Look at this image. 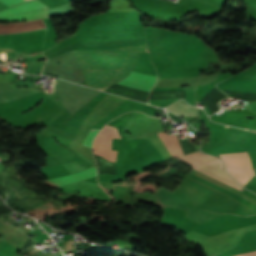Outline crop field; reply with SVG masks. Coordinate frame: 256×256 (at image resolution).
<instances>
[{
    "label": "crop field",
    "mask_w": 256,
    "mask_h": 256,
    "mask_svg": "<svg viewBox=\"0 0 256 256\" xmlns=\"http://www.w3.org/2000/svg\"><path fill=\"white\" fill-rule=\"evenodd\" d=\"M79 60L87 86L105 91L129 75L139 52H149L147 45H133L112 50L72 51Z\"/></svg>",
    "instance_id": "obj_1"
},
{
    "label": "crop field",
    "mask_w": 256,
    "mask_h": 256,
    "mask_svg": "<svg viewBox=\"0 0 256 256\" xmlns=\"http://www.w3.org/2000/svg\"><path fill=\"white\" fill-rule=\"evenodd\" d=\"M177 159L240 191H243V188L239 186L236 181L227 174L223 168L221 160L217 158L204 155L198 151L185 156H181Z\"/></svg>",
    "instance_id": "obj_2"
},
{
    "label": "crop field",
    "mask_w": 256,
    "mask_h": 256,
    "mask_svg": "<svg viewBox=\"0 0 256 256\" xmlns=\"http://www.w3.org/2000/svg\"><path fill=\"white\" fill-rule=\"evenodd\" d=\"M156 77L131 71L130 75L117 84L133 87L150 92L155 83Z\"/></svg>",
    "instance_id": "obj_3"
},
{
    "label": "crop field",
    "mask_w": 256,
    "mask_h": 256,
    "mask_svg": "<svg viewBox=\"0 0 256 256\" xmlns=\"http://www.w3.org/2000/svg\"><path fill=\"white\" fill-rule=\"evenodd\" d=\"M43 9H50L43 3L39 2L38 0H31L16 6H13L11 8H7L0 11V17L3 16H10V15H17V14H25L30 13L38 10Z\"/></svg>",
    "instance_id": "obj_4"
},
{
    "label": "crop field",
    "mask_w": 256,
    "mask_h": 256,
    "mask_svg": "<svg viewBox=\"0 0 256 256\" xmlns=\"http://www.w3.org/2000/svg\"><path fill=\"white\" fill-rule=\"evenodd\" d=\"M96 175H97V169L92 167V168H89L87 170L81 171V172L76 173V174L50 179V181L62 186V185H66V184H69V183L84 180V179H87V178L95 177Z\"/></svg>",
    "instance_id": "obj_5"
},
{
    "label": "crop field",
    "mask_w": 256,
    "mask_h": 256,
    "mask_svg": "<svg viewBox=\"0 0 256 256\" xmlns=\"http://www.w3.org/2000/svg\"><path fill=\"white\" fill-rule=\"evenodd\" d=\"M166 109L173 111L180 116H199L198 108H193L182 104L180 101L172 104Z\"/></svg>",
    "instance_id": "obj_6"
},
{
    "label": "crop field",
    "mask_w": 256,
    "mask_h": 256,
    "mask_svg": "<svg viewBox=\"0 0 256 256\" xmlns=\"http://www.w3.org/2000/svg\"><path fill=\"white\" fill-rule=\"evenodd\" d=\"M50 17L47 10L36 12V13H30L25 15H18V16H11V17H3L0 18V22L2 21H26V20H35L40 18H47Z\"/></svg>",
    "instance_id": "obj_7"
},
{
    "label": "crop field",
    "mask_w": 256,
    "mask_h": 256,
    "mask_svg": "<svg viewBox=\"0 0 256 256\" xmlns=\"http://www.w3.org/2000/svg\"><path fill=\"white\" fill-rule=\"evenodd\" d=\"M98 131H100V129L92 128L87 137L85 138L83 145L91 148L92 141Z\"/></svg>",
    "instance_id": "obj_8"
},
{
    "label": "crop field",
    "mask_w": 256,
    "mask_h": 256,
    "mask_svg": "<svg viewBox=\"0 0 256 256\" xmlns=\"http://www.w3.org/2000/svg\"><path fill=\"white\" fill-rule=\"evenodd\" d=\"M25 1H27V0H0V2L4 3L5 5H7L9 7L19 4L21 2H25Z\"/></svg>",
    "instance_id": "obj_9"
},
{
    "label": "crop field",
    "mask_w": 256,
    "mask_h": 256,
    "mask_svg": "<svg viewBox=\"0 0 256 256\" xmlns=\"http://www.w3.org/2000/svg\"><path fill=\"white\" fill-rule=\"evenodd\" d=\"M250 112L256 113V102L244 105Z\"/></svg>",
    "instance_id": "obj_10"
},
{
    "label": "crop field",
    "mask_w": 256,
    "mask_h": 256,
    "mask_svg": "<svg viewBox=\"0 0 256 256\" xmlns=\"http://www.w3.org/2000/svg\"><path fill=\"white\" fill-rule=\"evenodd\" d=\"M194 147H195L197 150H199V149H198V146L194 145Z\"/></svg>",
    "instance_id": "obj_11"
}]
</instances>
